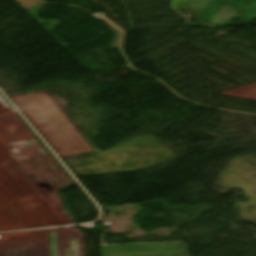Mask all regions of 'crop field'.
Returning a JSON list of instances; mask_svg holds the SVG:
<instances>
[{
    "instance_id": "1",
    "label": "crop field",
    "mask_w": 256,
    "mask_h": 256,
    "mask_svg": "<svg viewBox=\"0 0 256 256\" xmlns=\"http://www.w3.org/2000/svg\"><path fill=\"white\" fill-rule=\"evenodd\" d=\"M102 256H174L187 252L180 243L101 247Z\"/></svg>"
}]
</instances>
